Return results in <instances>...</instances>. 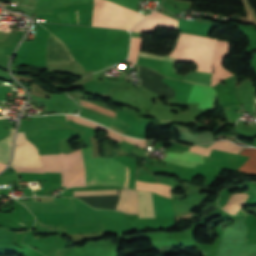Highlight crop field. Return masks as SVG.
<instances>
[{
    "label": "crop field",
    "mask_w": 256,
    "mask_h": 256,
    "mask_svg": "<svg viewBox=\"0 0 256 256\" xmlns=\"http://www.w3.org/2000/svg\"><path fill=\"white\" fill-rule=\"evenodd\" d=\"M209 147L235 153V154H237L241 149L240 147L228 142H215ZM215 149L212 150L209 156V163H208L209 165L218 166V165H225V164H231V163H238V162H244L248 159V157L246 156L235 155V154H231V153H227V152H223ZM189 151L208 156L211 149L199 147V146H191Z\"/></svg>",
    "instance_id": "5"
},
{
    "label": "crop field",
    "mask_w": 256,
    "mask_h": 256,
    "mask_svg": "<svg viewBox=\"0 0 256 256\" xmlns=\"http://www.w3.org/2000/svg\"><path fill=\"white\" fill-rule=\"evenodd\" d=\"M13 133H14V128L11 129V133L7 138L0 141V162L4 164H7L8 162L11 145H12Z\"/></svg>",
    "instance_id": "16"
},
{
    "label": "crop field",
    "mask_w": 256,
    "mask_h": 256,
    "mask_svg": "<svg viewBox=\"0 0 256 256\" xmlns=\"http://www.w3.org/2000/svg\"><path fill=\"white\" fill-rule=\"evenodd\" d=\"M212 25L195 23L184 19H179L178 31L206 36Z\"/></svg>",
    "instance_id": "12"
},
{
    "label": "crop field",
    "mask_w": 256,
    "mask_h": 256,
    "mask_svg": "<svg viewBox=\"0 0 256 256\" xmlns=\"http://www.w3.org/2000/svg\"><path fill=\"white\" fill-rule=\"evenodd\" d=\"M130 10V9H129ZM127 8L108 0H94L92 25L99 27H112L130 29L145 15L129 11Z\"/></svg>",
    "instance_id": "4"
},
{
    "label": "crop field",
    "mask_w": 256,
    "mask_h": 256,
    "mask_svg": "<svg viewBox=\"0 0 256 256\" xmlns=\"http://www.w3.org/2000/svg\"><path fill=\"white\" fill-rule=\"evenodd\" d=\"M46 57L47 63H69L74 60L64 43L52 34L48 38Z\"/></svg>",
    "instance_id": "10"
},
{
    "label": "crop field",
    "mask_w": 256,
    "mask_h": 256,
    "mask_svg": "<svg viewBox=\"0 0 256 256\" xmlns=\"http://www.w3.org/2000/svg\"><path fill=\"white\" fill-rule=\"evenodd\" d=\"M71 117H72V119H73L75 122L82 123V124H85V125H87V126H90V127L96 128V129L105 130V131L108 132L106 136L111 137V138H113V139H115V140H117V141H119V142L122 141V138H121L120 135H118L117 133H115V132H113V131H111V130H109V129H107V128L101 126V125H98V124H96V123H93V122H91V121H88V120H86V119H84V118H81V117H79V116H73V115H71ZM71 117H70V115H67V120L71 119Z\"/></svg>",
    "instance_id": "15"
},
{
    "label": "crop field",
    "mask_w": 256,
    "mask_h": 256,
    "mask_svg": "<svg viewBox=\"0 0 256 256\" xmlns=\"http://www.w3.org/2000/svg\"><path fill=\"white\" fill-rule=\"evenodd\" d=\"M240 109V111H242V109L241 108H239Z\"/></svg>",
    "instance_id": "24"
},
{
    "label": "crop field",
    "mask_w": 256,
    "mask_h": 256,
    "mask_svg": "<svg viewBox=\"0 0 256 256\" xmlns=\"http://www.w3.org/2000/svg\"><path fill=\"white\" fill-rule=\"evenodd\" d=\"M80 101H81V100H80ZM81 105H82V106H86V107L93 108V109H95V110H98V111H100V112H103V113H105V114H107V115H110V116H112V117H114V115H115V112H113V111H110V110H108V109H105V108H102V107H99V106L90 104V103L85 102V101H81Z\"/></svg>",
    "instance_id": "20"
},
{
    "label": "crop field",
    "mask_w": 256,
    "mask_h": 256,
    "mask_svg": "<svg viewBox=\"0 0 256 256\" xmlns=\"http://www.w3.org/2000/svg\"><path fill=\"white\" fill-rule=\"evenodd\" d=\"M86 169V186L94 184L123 185L128 168L113 158H92L91 147L81 148ZM129 171L127 175V181Z\"/></svg>",
    "instance_id": "3"
},
{
    "label": "crop field",
    "mask_w": 256,
    "mask_h": 256,
    "mask_svg": "<svg viewBox=\"0 0 256 256\" xmlns=\"http://www.w3.org/2000/svg\"><path fill=\"white\" fill-rule=\"evenodd\" d=\"M178 21L174 20L158 11H154L132 31L154 32L158 27L177 30Z\"/></svg>",
    "instance_id": "7"
},
{
    "label": "crop field",
    "mask_w": 256,
    "mask_h": 256,
    "mask_svg": "<svg viewBox=\"0 0 256 256\" xmlns=\"http://www.w3.org/2000/svg\"><path fill=\"white\" fill-rule=\"evenodd\" d=\"M5 168V165L0 163V172Z\"/></svg>",
    "instance_id": "22"
},
{
    "label": "crop field",
    "mask_w": 256,
    "mask_h": 256,
    "mask_svg": "<svg viewBox=\"0 0 256 256\" xmlns=\"http://www.w3.org/2000/svg\"><path fill=\"white\" fill-rule=\"evenodd\" d=\"M216 91L207 86L193 85L187 102L200 103V109L213 111Z\"/></svg>",
    "instance_id": "11"
},
{
    "label": "crop field",
    "mask_w": 256,
    "mask_h": 256,
    "mask_svg": "<svg viewBox=\"0 0 256 256\" xmlns=\"http://www.w3.org/2000/svg\"><path fill=\"white\" fill-rule=\"evenodd\" d=\"M240 154L250 156L249 159L237 170L256 173V149L243 148Z\"/></svg>",
    "instance_id": "14"
},
{
    "label": "crop field",
    "mask_w": 256,
    "mask_h": 256,
    "mask_svg": "<svg viewBox=\"0 0 256 256\" xmlns=\"http://www.w3.org/2000/svg\"><path fill=\"white\" fill-rule=\"evenodd\" d=\"M156 218L174 217L172 203L169 198L159 196L152 192ZM151 192L139 191V217L155 218L152 205ZM116 210L129 214H138V191L123 188L120 190V199Z\"/></svg>",
    "instance_id": "2"
},
{
    "label": "crop field",
    "mask_w": 256,
    "mask_h": 256,
    "mask_svg": "<svg viewBox=\"0 0 256 256\" xmlns=\"http://www.w3.org/2000/svg\"><path fill=\"white\" fill-rule=\"evenodd\" d=\"M246 198L247 195L243 193H235L233 198L231 199V201L224 210L227 211L228 213L237 214Z\"/></svg>",
    "instance_id": "17"
},
{
    "label": "crop field",
    "mask_w": 256,
    "mask_h": 256,
    "mask_svg": "<svg viewBox=\"0 0 256 256\" xmlns=\"http://www.w3.org/2000/svg\"><path fill=\"white\" fill-rule=\"evenodd\" d=\"M11 166L42 167L37 148L31 144L23 132L16 137V148Z\"/></svg>",
    "instance_id": "6"
},
{
    "label": "crop field",
    "mask_w": 256,
    "mask_h": 256,
    "mask_svg": "<svg viewBox=\"0 0 256 256\" xmlns=\"http://www.w3.org/2000/svg\"><path fill=\"white\" fill-rule=\"evenodd\" d=\"M141 45H142V38H132L131 50H130V54H129L130 59H133L135 61L137 60L138 51H139ZM130 59H128V60H130ZM135 61H133V62H135Z\"/></svg>",
    "instance_id": "18"
},
{
    "label": "crop field",
    "mask_w": 256,
    "mask_h": 256,
    "mask_svg": "<svg viewBox=\"0 0 256 256\" xmlns=\"http://www.w3.org/2000/svg\"><path fill=\"white\" fill-rule=\"evenodd\" d=\"M228 49H229V43L222 42V41L217 42L215 55H214V62H213L214 67L221 66L222 59L228 55ZM183 80L211 86L212 74L192 72L186 75Z\"/></svg>",
    "instance_id": "8"
},
{
    "label": "crop field",
    "mask_w": 256,
    "mask_h": 256,
    "mask_svg": "<svg viewBox=\"0 0 256 256\" xmlns=\"http://www.w3.org/2000/svg\"><path fill=\"white\" fill-rule=\"evenodd\" d=\"M200 38L201 37L198 36L180 33L176 48L173 50L172 54L170 53L171 55L157 56L140 52L139 56L165 61L194 63ZM216 40L217 39L202 37L195 63L197 65V71L212 73L211 63L213 61V53L215 49Z\"/></svg>",
    "instance_id": "1"
},
{
    "label": "crop field",
    "mask_w": 256,
    "mask_h": 256,
    "mask_svg": "<svg viewBox=\"0 0 256 256\" xmlns=\"http://www.w3.org/2000/svg\"><path fill=\"white\" fill-rule=\"evenodd\" d=\"M68 13V12H67ZM68 17H69V14H68ZM69 21H70V18H69ZM70 24H71V22H70Z\"/></svg>",
    "instance_id": "23"
},
{
    "label": "crop field",
    "mask_w": 256,
    "mask_h": 256,
    "mask_svg": "<svg viewBox=\"0 0 256 256\" xmlns=\"http://www.w3.org/2000/svg\"><path fill=\"white\" fill-rule=\"evenodd\" d=\"M111 194H118L117 190L74 192L73 196H96V195H111Z\"/></svg>",
    "instance_id": "19"
},
{
    "label": "crop field",
    "mask_w": 256,
    "mask_h": 256,
    "mask_svg": "<svg viewBox=\"0 0 256 256\" xmlns=\"http://www.w3.org/2000/svg\"><path fill=\"white\" fill-rule=\"evenodd\" d=\"M30 212H74L71 198H54V202H21Z\"/></svg>",
    "instance_id": "9"
},
{
    "label": "crop field",
    "mask_w": 256,
    "mask_h": 256,
    "mask_svg": "<svg viewBox=\"0 0 256 256\" xmlns=\"http://www.w3.org/2000/svg\"><path fill=\"white\" fill-rule=\"evenodd\" d=\"M124 140L145 148V142L146 141H144V140L131 139V138H127V137H124Z\"/></svg>",
    "instance_id": "21"
},
{
    "label": "crop field",
    "mask_w": 256,
    "mask_h": 256,
    "mask_svg": "<svg viewBox=\"0 0 256 256\" xmlns=\"http://www.w3.org/2000/svg\"><path fill=\"white\" fill-rule=\"evenodd\" d=\"M170 188L171 187L168 185H161L157 183H147V182H141L137 180L135 181V186H134V189L155 191L167 197H170V194H169Z\"/></svg>",
    "instance_id": "13"
}]
</instances>
